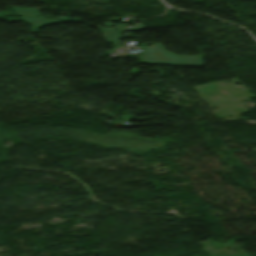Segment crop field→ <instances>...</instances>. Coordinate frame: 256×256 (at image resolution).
<instances>
[{
  "instance_id": "obj_5",
  "label": "crop field",
  "mask_w": 256,
  "mask_h": 256,
  "mask_svg": "<svg viewBox=\"0 0 256 256\" xmlns=\"http://www.w3.org/2000/svg\"><path fill=\"white\" fill-rule=\"evenodd\" d=\"M135 28H143V26L141 25V23H139V25H135L133 27H131L130 29H135Z\"/></svg>"
},
{
  "instance_id": "obj_1",
  "label": "crop field",
  "mask_w": 256,
  "mask_h": 256,
  "mask_svg": "<svg viewBox=\"0 0 256 256\" xmlns=\"http://www.w3.org/2000/svg\"><path fill=\"white\" fill-rule=\"evenodd\" d=\"M20 19L23 22L29 23L34 33H37L38 29L46 24L59 23L58 20H53V19H35V18H25V17H20Z\"/></svg>"
},
{
  "instance_id": "obj_4",
  "label": "crop field",
  "mask_w": 256,
  "mask_h": 256,
  "mask_svg": "<svg viewBox=\"0 0 256 256\" xmlns=\"http://www.w3.org/2000/svg\"><path fill=\"white\" fill-rule=\"evenodd\" d=\"M102 24H104V25H117V24H108V23H102ZM127 28H128L127 25H118L115 28H101V29H127Z\"/></svg>"
},
{
  "instance_id": "obj_2",
  "label": "crop field",
  "mask_w": 256,
  "mask_h": 256,
  "mask_svg": "<svg viewBox=\"0 0 256 256\" xmlns=\"http://www.w3.org/2000/svg\"><path fill=\"white\" fill-rule=\"evenodd\" d=\"M17 16H27V17H42L39 15V9H19L15 7H10ZM53 18V17H47Z\"/></svg>"
},
{
  "instance_id": "obj_3",
  "label": "crop field",
  "mask_w": 256,
  "mask_h": 256,
  "mask_svg": "<svg viewBox=\"0 0 256 256\" xmlns=\"http://www.w3.org/2000/svg\"><path fill=\"white\" fill-rule=\"evenodd\" d=\"M65 15H67V17H62L59 18L60 21H74V22H82L80 21V19H76V18H68L71 14L70 13H63Z\"/></svg>"
}]
</instances>
